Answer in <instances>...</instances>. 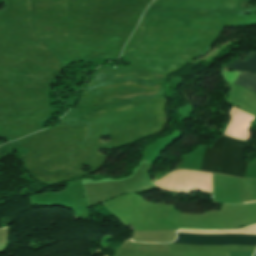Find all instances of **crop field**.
<instances>
[{
    "label": "crop field",
    "mask_w": 256,
    "mask_h": 256,
    "mask_svg": "<svg viewBox=\"0 0 256 256\" xmlns=\"http://www.w3.org/2000/svg\"><path fill=\"white\" fill-rule=\"evenodd\" d=\"M248 144L220 137L212 147H206L200 170L244 178L247 165L245 149Z\"/></svg>",
    "instance_id": "crop-field-1"
},
{
    "label": "crop field",
    "mask_w": 256,
    "mask_h": 256,
    "mask_svg": "<svg viewBox=\"0 0 256 256\" xmlns=\"http://www.w3.org/2000/svg\"><path fill=\"white\" fill-rule=\"evenodd\" d=\"M178 238L172 243L196 244V245H254L256 235L228 234V235H193L177 233Z\"/></svg>",
    "instance_id": "crop-field-2"
},
{
    "label": "crop field",
    "mask_w": 256,
    "mask_h": 256,
    "mask_svg": "<svg viewBox=\"0 0 256 256\" xmlns=\"http://www.w3.org/2000/svg\"><path fill=\"white\" fill-rule=\"evenodd\" d=\"M222 70H239L256 73V53L251 52L250 56L245 61L237 59L227 64Z\"/></svg>",
    "instance_id": "crop-field-3"
},
{
    "label": "crop field",
    "mask_w": 256,
    "mask_h": 256,
    "mask_svg": "<svg viewBox=\"0 0 256 256\" xmlns=\"http://www.w3.org/2000/svg\"><path fill=\"white\" fill-rule=\"evenodd\" d=\"M232 83L256 93V75L254 74L240 72Z\"/></svg>",
    "instance_id": "crop-field-4"
},
{
    "label": "crop field",
    "mask_w": 256,
    "mask_h": 256,
    "mask_svg": "<svg viewBox=\"0 0 256 256\" xmlns=\"http://www.w3.org/2000/svg\"><path fill=\"white\" fill-rule=\"evenodd\" d=\"M247 203V202H246Z\"/></svg>",
    "instance_id": "crop-field-5"
}]
</instances>
